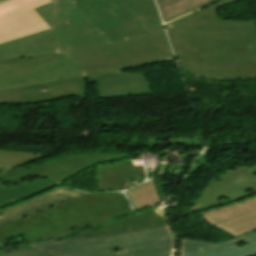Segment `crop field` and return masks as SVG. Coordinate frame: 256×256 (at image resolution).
<instances>
[{
    "label": "crop field",
    "instance_id": "15",
    "mask_svg": "<svg viewBox=\"0 0 256 256\" xmlns=\"http://www.w3.org/2000/svg\"><path fill=\"white\" fill-rule=\"evenodd\" d=\"M125 193L135 210H142L162 202L155 180L132 188Z\"/></svg>",
    "mask_w": 256,
    "mask_h": 256
},
{
    "label": "crop field",
    "instance_id": "18",
    "mask_svg": "<svg viewBox=\"0 0 256 256\" xmlns=\"http://www.w3.org/2000/svg\"><path fill=\"white\" fill-rule=\"evenodd\" d=\"M210 150H211V149H206L205 153L202 154V155L193 163V165H192V170H191V172H190L188 175H190L191 173H193V171H196V172H197V171L200 169L199 166H201V165H204V166H207V167H208V164L206 163V162H208V160H207L206 158H207V155H209V151H210ZM209 169H210V171L213 172L214 175L220 174L219 172H215V171L213 170V168H209Z\"/></svg>",
    "mask_w": 256,
    "mask_h": 256
},
{
    "label": "crop field",
    "instance_id": "1",
    "mask_svg": "<svg viewBox=\"0 0 256 256\" xmlns=\"http://www.w3.org/2000/svg\"><path fill=\"white\" fill-rule=\"evenodd\" d=\"M51 29L0 44V88L172 62L154 0H52Z\"/></svg>",
    "mask_w": 256,
    "mask_h": 256
},
{
    "label": "crop field",
    "instance_id": "21",
    "mask_svg": "<svg viewBox=\"0 0 256 256\" xmlns=\"http://www.w3.org/2000/svg\"><path fill=\"white\" fill-rule=\"evenodd\" d=\"M166 165H167V164L164 165V167H163V169H162V171H161L160 174H163V172H164V170H165V168H166Z\"/></svg>",
    "mask_w": 256,
    "mask_h": 256
},
{
    "label": "crop field",
    "instance_id": "16",
    "mask_svg": "<svg viewBox=\"0 0 256 256\" xmlns=\"http://www.w3.org/2000/svg\"><path fill=\"white\" fill-rule=\"evenodd\" d=\"M174 144L175 147H179L177 144H192L203 146L201 141L196 137H139L131 136L130 146H143L148 145L152 147H165L167 145Z\"/></svg>",
    "mask_w": 256,
    "mask_h": 256
},
{
    "label": "crop field",
    "instance_id": "3",
    "mask_svg": "<svg viewBox=\"0 0 256 256\" xmlns=\"http://www.w3.org/2000/svg\"><path fill=\"white\" fill-rule=\"evenodd\" d=\"M165 28L181 71L210 77L256 76V21H220L211 4Z\"/></svg>",
    "mask_w": 256,
    "mask_h": 256
},
{
    "label": "crop field",
    "instance_id": "4",
    "mask_svg": "<svg viewBox=\"0 0 256 256\" xmlns=\"http://www.w3.org/2000/svg\"><path fill=\"white\" fill-rule=\"evenodd\" d=\"M30 247L31 249L0 256H166L176 254V240L170 225L102 237L39 242L30 244Z\"/></svg>",
    "mask_w": 256,
    "mask_h": 256
},
{
    "label": "crop field",
    "instance_id": "7",
    "mask_svg": "<svg viewBox=\"0 0 256 256\" xmlns=\"http://www.w3.org/2000/svg\"><path fill=\"white\" fill-rule=\"evenodd\" d=\"M215 177L200 190L190 211H204L256 194V165L234 167Z\"/></svg>",
    "mask_w": 256,
    "mask_h": 256
},
{
    "label": "crop field",
    "instance_id": "8",
    "mask_svg": "<svg viewBox=\"0 0 256 256\" xmlns=\"http://www.w3.org/2000/svg\"><path fill=\"white\" fill-rule=\"evenodd\" d=\"M48 2L50 0H7L0 3V43L48 29L33 9Z\"/></svg>",
    "mask_w": 256,
    "mask_h": 256
},
{
    "label": "crop field",
    "instance_id": "11",
    "mask_svg": "<svg viewBox=\"0 0 256 256\" xmlns=\"http://www.w3.org/2000/svg\"><path fill=\"white\" fill-rule=\"evenodd\" d=\"M80 194L82 193L58 187L30 201L2 210L0 213V226Z\"/></svg>",
    "mask_w": 256,
    "mask_h": 256
},
{
    "label": "crop field",
    "instance_id": "5",
    "mask_svg": "<svg viewBox=\"0 0 256 256\" xmlns=\"http://www.w3.org/2000/svg\"><path fill=\"white\" fill-rule=\"evenodd\" d=\"M96 81L98 98L151 94L142 73L111 72L0 89V104H33L68 96H84L86 82Z\"/></svg>",
    "mask_w": 256,
    "mask_h": 256
},
{
    "label": "crop field",
    "instance_id": "19",
    "mask_svg": "<svg viewBox=\"0 0 256 256\" xmlns=\"http://www.w3.org/2000/svg\"><path fill=\"white\" fill-rule=\"evenodd\" d=\"M235 1H238V0H222V1H219L217 3H214V5L219 8L221 6H224L226 4H229V3H232V2H235Z\"/></svg>",
    "mask_w": 256,
    "mask_h": 256
},
{
    "label": "crop field",
    "instance_id": "12",
    "mask_svg": "<svg viewBox=\"0 0 256 256\" xmlns=\"http://www.w3.org/2000/svg\"><path fill=\"white\" fill-rule=\"evenodd\" d=\"M97 192L108 190H121L122 182L141 180L145 178L144 169H134L129 161H120L96 167ZM130 183V182H129ZM133 184L130 183L129 187Z\"/></svg>",
    "mask_w": 256,
    "mask_h": 256
},
{
    "label": "crop field",
    "instance_id": "6",
    "mask_svg": "<svg viewBox=\"0 0 256 256\" xmlns=\"http://www.w3.org/2000/svg\"><path fill=\"white\" fill-rule=\"evenodd\" d=\"M125 153L91 152L70 155L49 160L46 163L34 165L27 169H19L0 176V182L5 185L36 180L44 177L52 178L57 185L71 178L75 174L104 161L125 159Z\"/></svg>",
    "mask_w": 256,
    "mask_h": 256
},
{
    "label": "crop field",
    "instance_id": "10",
    "mask_svg": "<svg viewBox=\"0 0 256 256\" xmlns=\"http://www.w3.org/2000/svg\"><path fill=\"white\" fill-rule=\"evenodd\" d=\"M254 255H256V231L218 243L185 238L180 239L179 256Z\"/></svg>",
    "mask_w": 256,
    "mask_h": 256
},
{
    "label": "crop field",
    "instance_id": "14",
    "mask_svg": "<svg viewBox=\"0 0 256 256\" xmlns=\"http://www.w3.org/2000/svg\"><path fill=\"white\" fill-rule=\"evenodd\" d=\"M163 22H168L192 10L217 0H156Z\"/></svg>",
    "mask_w": 256,
    "mask_h": 256
},
{
    "label": "crop field",
    "instance_id": "20",
    "mask_svg": "<svg viewBox=\"0 0 256 256\" xmlns=\"http://www.w3.org/2000/svg\"><path fill=\"white\" fill-rule=\"evenodd\" d=\"M5 169H7L5 165H0V175L6 173Z\"/></svg>",
    "mask_w": 256,
    "mask_h": 256
},
{
    "label": "crop field",
    "instance_id": "9",
    "mask_svg": "<svg viewBox=\"0 0 256 256\" xmlns=\"http://www.w3.org/2000/svg\"><path fill=\"white\" fill-rule=\"evenodd\" d=\"M200 216L216 229L236 237L256 230V196ZM206 222V223H207Z\"/></svg>",
    "mask_w": 256,
    "mask_h": 256
},
{
    "label": "crop field",
    "instance_id": "2",
    "mask_svg": "<svg viewBox=\"0 0 256 256\" xmlns=\"http://www.w3.org/2000/svg\"><path fill=\"white\" fill-rule=\"evenodd\" d=\"M169 224L162 205L136 213L123 193L83 194L0 227V253L29 243L102 236Z\"/></svg>",
    "mask_w": 256,
    "mask_h": 256
},
{
    "label": "crop field",
    "instance_id": "23",
    "mask_svg": "<svg viewBox=\"0 0 256 256\" xmlns=\"http://www.w3.org/2000/svg\"><path fill=\"white\" fill-rule=\"evenodd\" d=\"M175 256V255H174Z\"/></svg>",
    "mask_w": 256,
    "mask_h": 256
},
{
    "label": "crop field",
    "instance_id": "22",
    "mask_svg": "<svg viewBox=\"0 0 256 256\" xmlns=\"http://www.w3.org/2000/svg\"><path fill=\"white\" fill-rule=\"evenodd\" d=\"M2 1H4V0H0V2H2Z\"/></svg>",
    "mask_w": 256,
    "mask_h": 256
},
{
    "label": "crop field",
    "instance_id": "17",
    "mask_svg": "<svg viewBox=\"0 0 256 256\" xmlns=\"http://www.w3.org/2000/svg\"><path fill=\"white\" fill-rule=\"evenodd\" d=\"M42 158L24 152L0 149V164H6L8 168L18 167Z\"/></svg>",
    "mask_w": 256,
    "mask_h": 256
},
{
    "label": "crop field",
    "instance_id": "13",
    "mask_svg": "<svg viewBox=\"0 0 256 256\" xmlns=\"http://www.w3.org/2000/svg\"><path fill=\"white\" fill-rule=\"evenodd\" d=\"M55 185L56 183L49 178L27 182L16 186H5L0 183V208L32 197Z\"/></svg>",
    "mask_w": 256,
    "mask_h": 256
}]
</instances>
